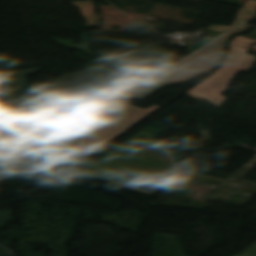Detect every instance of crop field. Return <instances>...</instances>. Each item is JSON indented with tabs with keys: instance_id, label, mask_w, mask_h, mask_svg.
<instances>
[{
	"instance_id": "obj_3",
	"label": "crop field",
	"mask_w": 256,
	"mask_h": 256,
	"mask_svg": "<svg viewBox=\"0 0 256 256\" xmlns=\"http://www.w3.org/2000/svg\"><path fill=\"white\" fill-rule=\"evenodd\" d=\"M250 27L252 26L241 25L198 54L176 67L162 72L119 100L142 101L165 86L178 84L204 75L220 62L224 54V44L229 37L237 32L247 31Z\"/></svg>"
},
{
	"instance_id": "obj_5",
	"label": "crop field",
	"mask_w": 256,
	"mask_h": 256,
	"mask_svg": "<svg viewBox=\"0 0 256 256\" xmlns=\"http://www.w3.org/2000/svg\"><path fill=\"white\" fill-rule=\"evenodd\" d=\"M161 72L144 74L140 79H136L135 76L119 78L106 86L102 80L52 95V97L53 99L66 97L74 107L116 101Z\"/></svg>"
},
{
	"instance_id": "obj_20",
	"label": "crop field",
	"mask_w": 256,
	"mask_h": 256,
	"mask_svg": "<svg viewBox=\"0 0 256 256\" xmlns=\"http://www.w3.org/2000/svg\"><path fill=\"white\" fill-rule=\"evenodd\" d=\"M0 256H15V254H2L0 251Z\"/></svg>"
},
{
	"instance_id": "obj_17",
	"label": "crop field",
	"mask_w": 256,
	"mask_h": 256,
	"mask_svg": "<svg viewBox=\"0 0 256 256\" xmlns=\"http://www.w3.org/2000/svg\"><path fill=\"white\" fill-rule=\"evenodd\" d=\"M240 36H244V37H248L256 40V28L249 35H240Z\"/></svg>"
},
{
	"instance_id": "obj_7",
	"label": "crop field",
	"mask_w": 256,
	"mask_h": 256,
	"mask_svg": "<svg viewBox=\"0 0 256 256\" xmlns=\"http://www.w3.org/2000/svg\"><path fill=\"white\" fill-rule=\"evenodd\" d=\"M191 53H193V51L187 52L184 57L188 56ZM184 57H180L178 55L167 52L165 55H162V56L154 57L151 59H147V60H143V61H139L131 64L117 66L113 71V76L133 74V73H139V72H145V71L164 68V67L176 64Z\"/></svg>"
},
{
	"instance_id": "obj_8",
	"label": "crop field",
	"mask_w": 256,
	"mask_h": 256,
	"mask_svg": "<svg viewBox=\"0 0 256 256\" xmlns=\"http://www.w3.org/2000/svg\"><path fill=\"white\" fill-rule=\"evenodd\" d=\"M102 78V62H93V68L80 73H66L55 85L56 91L70 88L80 83Z\"/></svg>"
},
{
	"instance_id": "obj_15",
	"label": "crop field",
	"mask_w": 256,
	"mask_h": 256,
	"mask_svg": "<svg viewBox=\"0 0 256 256\" xmlns=\"http://www.w3.org/2000/svg\"><path fill=\"white\" fill-rule=\"evenodd\" d=\"M243 7H247V8L256 10V2H255V1H252V0H249L248 2H246V3L244 4Z\"/></svg>"
},
{
	"instance_id": "obj_19",
	"label": "crop field",
	"mask_w": 256,
	"mask_h": 256,
	"mask_svg": "<svg viewBox=\"0 0 256 256\" xmlns=\"http://www.w3.org/2000/svg\"><path fill=\"white\" fill-rule=\"evenodd\" d=\"M237 256H256V255L252 254V253H249V252L243 251L242 255H237Z\"/></svg>"
},
{
	"instance_id": "obj_11",
	"label": "crop field",
	"mask_w": 256,
	"mask_h": 256,
	"mask_svg": "<svg viewBox=\"0 0 256 256\" xmlns=\"http://www.w3.org/2000/svg\"><path fill=\"white\" fill-rule=\"evenodd\" d=\"M253 14H255V12L253 10H250L247 8H241L238 11V16H237L235 22L231 26L210 25V27L208 29L226 32V31L230 30L231 28H233L234 26H236L237 24H239L244 19L252 16Z\"/></svg>"
},
{
	"instance_id": "obj_10",
	"label": "crop field",
	"mask_w": 256,
	"mask_h": 256,
	"mask_svg": "<svg viewBox=\"0 0 256 256\" xmlns=\"http://www.w3.org/2000/svg\"><path fill=\"white\" fill-rule=\"evenodd\" d=\"M71 3L81 10L83 17L87 20L88 26H96V24L99 23V16L96 15L95 8L91 0Z\"/></svg>"
},
{
	"instance_id": "obj_1",
	"label": "crop field",
	"mask_w": 256,
	"mask_h": 256,
	"mask_svg": "<svg viewBox=\"0 0 256 256\" xmlns=\"http://www.w3.org/2000/svg\"><path fill=\"white\" fill-rule=\"evenodd\" d=\"M170 171V158L164 148L132 138L84 173L153 195L161 186L149 180L155 175L166 177ZM139 186L155 191H144Z\"/></svg>"
},
{
	"instance_id": "obj_13",
	"label": "crop field",
	"mask_w": 256,
	"mask_h": 256,
	"mask_svg": "<svg viewBox=\"0 0 256 256\" xmlns=\"http://www.w3.org/2000/svg\"><path fill=\"white\" fill-rule=\"evenodd\" d=\"M213 39H205L199 43H197L196 45H194L190 50L196 51L199 48H201L202 46H204L205 44H207L208 42L212 41Z\"/></svg>"
},
{
	"instance_id": "obj_21",
	"label": "crop field",
	"mask_w": 256,
	"mask_h": 256,
	"mask_svg": "<svg viewBox=\"0 0 256 256\" xmlns=\"http://www.w3.org/2000/svg\"><path fill=\"white\" fill-rule=\"evenodd\" d=\"M3 168H4L3 166H0V174H1L2 170H3Z\"/></svg>"
},
{
	"instance_id": "obj_18",
	"label": "crop field",
	"mask_w": 256,
	"mask_h": 256,
	"mask_svg": "<svg viewBox=\"0 0 256 256\" xmlns=\"http://www.w3.org/2000/svg\"><path fill=\"white\" fill-rule=\"evenodd\" d=\"M0 249L3 253H14L13 251L9 250L6 246L0 244Z\"/></svg>"
},
{
	"instance_id": "obj_12",
	"label": "crop field",
	"mask_w": 256,
	"mask_h": 256,
	"mask_svg": "<svg viewBox=\"0 0 256 256\" xmlns=\"http://www.w3.org/2000/svg\"><path fill=\"white\" fill-rule=\"evenodd\" d=\"M53 40L57 41L59 43V45H62V46L68 47V48L85 50V51H87V53H90L87 35H82L83 46L73 44V41H71V40L58 39V38H53Z\"/></svg>"
},
{
	"instance_id": "obj_9",
	"label": "crop field",
	"mask_w": 256,
	"mask_h": 256,
	"mask_svg": "<svg viewBox=\"0 0 256 256\" xmlns=\"http://www.w3.org/2000/svg\"><path fill=\"white\" fill-rule=\"evenodd\" d=\"M37 71H40V69H29L9 73L12 83L16 90L9 91L10 94L2 95L0 97V101L17 99L23 97L24 95L35 94L34 92L25 89L29 86L25 75L32 74Z\"/></svg>"
},
{
	"instance_id": "obj_6",
	"label": "crop field",
	"mask_w": 256,
	"mask_h": 256,
	"mask_svg": "<svg viewBox=\"0 0 256 256\" xmlns=\"http://www.w3.org/2000/svg\"><path fill=\"white\" fill-rule=\"evenodd\" d=\"M41 106L45 111L38 110L33 99L26 102L23 100H18L2 103L0 104V126L14 133L17 130L14 127L32 119L49 115V111L43 103ZM7 115L15 119L11 120L6 117Z\"/></svg>"
},
{
	"instance_id": "obj_2",
	"label": "crop field",
	"mask_w": 256,
	"mask_h": 256,
	"mask_svg": "<svg viewBox=\"0 0 256 256\" xmlns=\"http://www.w3.org/2000/svg\"><path fill=\"white\" fill-rule=\"evenodd\" d=\"M158 107L140 109L122 101L78 107L80 115L71 119L80 123L50 145L89 154Z\"/></svg>"
},
{
	"instance_id": "obj_4",
	"label": "crop field",
	"mask_w": 256,
	"mask_h": 256,
	"mask_svg": "<svg viewBox=\"0 0 256 256\" xmlns=\"http://www.w3.org/2000/svg\"><path fill=\"white\" fill-rule=\"evenodd\" d=\"M255 40L236 37L230 43V52L224 64L209 78L202 81L185 94L200 100H205L218 108L227 99L222 94L227 90L228 83L238 72L249 71L256 56L246 54Z\"/></svg>"
},
{
	"instance_id": "obj_14",
	"label": "crop field",
	"mask_w": 256,
	"mask_h": 256,
	"mask_svg": "<svg viewBox=\"0 0 256 256\" xmlns=\"http://www.w3.org/2000/svg\"><path fill=\"white\" fill-rule=\"evenodd\" d=\"M10 215L9 211H0V224L4 222Z\"/></svg>"
},
{
	"instance_id": "obj_16",
	"label": "crop field",
	"mask_w": 256,
	"mask_h": 256,
	"mask_svg": "<svg viewBox=\"0 0 256 256\" xmlns=\"http://www.w3.org/2000/svg\"><path fill=\"white\" fill-rule=\"evenodd\" d=\"M204 31L208 32V36L215 37V38L223 34L222 32H216V31H210V30H204Z\"/></svg>"
}]
</instances>
